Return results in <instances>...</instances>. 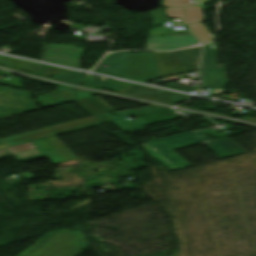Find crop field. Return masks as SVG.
<instances>
[{"instance_id": "obj_1", "label": "crop field", "mask_w": 256, "mask_h": 256, "mask_svg": "<svg viewBox=\"0 0 256 256\" xmlns=\"http://www.w3.org/2000/svg\"><path fill=\"white\" fill-rule=\"evenodd\" d=\"M203 142L221 158L244 153L237 144L229 139L212 140L204 133L194 130L174 136H169L146 142L144 147L150 156L170 170H175L189 164L172 149Z\"/></svg>"}, {"instance_id": "obj_2", "label": "crop field", "mask_w": 256, "mask_h": 256, "mask_svg": "<svg viewBox=\"0 0 256 256\" xmlns=\"http://www.w3.org/2000/svg\"><path fill=\"white\" fill-rule=\"evenodd\" d=\"M87 247L78 228L75 232L60 229L45 234L18 256H77Z\"/></svg>"}, {"instance_id": "obj_3", "label": "crop field", "mask_w": 256, "mask_h": 256, "mask_svg": "<svg viewBox=\"0 0 256 256\" xmlns=\"http://www.w3.org/2000/svg\"><path fill=\"white\" fill-rule=\"evenodd\" d=\"M209 2V0H164L163 6L168 18H181L187 24L201 43L212 39L211 33L203 25L201 8L197 5Z\"/></svg>"}, {"instance_id": "obj_4", "label": "crop field", "mask_w": 256, "mask_h": 256, "mask_svg": "<svg viewBox=\"0 0 256 256\" xmlns=\"http://www.w3.org/2000/svg\"><path fill=\"white\" fill-rule=\"evenodd\" d=\"M5 150L9 153L0 156L11 154L15 156L17 160L42 155L40 151H42L53 164L76 158L55 136L13 146Z\"/></svg>"}, {"instance_id": "obj_5", "label": "crop field", "mask_w": 256, "mask_h": 256, "mask_svg": "<svg viewBox=\"0 0 256 256\" xmlns=\"http://www.w3.org/2000/svg\"><path fill=\"white\" fill-rule=\"evenodd\" d=\"M201 47L181 51L159 53L155 52L162 78L198 69Z\"/></svg>"}, {"instance_id": "obj_6", "label": "crop field", "mask_w": 256, "mask_h": 256, "mask_svg": "<svg viewBox=\"0 0 256 256\" xmlns=\"http://www.w3.org/2000/svg\"><path fill=\"white\" fill-rule=\"evenodd\" d=\"M203 88H226L224 67L217 66V43L203 46L200 61Z\"/></svg>"}, {"instance_id": "obj_7", "label": "crop field", "mask_w": 256, "mask_h": 256, "mask_svg": "<svg viewBox=\"0 0 256 256\" xmlns=\"http://www.w3.org/2000/svg\"><path fill=\"white\" fill-rule=\"evenodd\" d=\"M84 50L76 48L74 45L47 46L45 61L80 68V57Z\"/></svg>"}, {"instance_id": "obj_8", "label": "crop field", "mask_w": 256, "mask_h": 256, "mask_svg": "<svg viewBox=\"0 0 256 256\" xmlns=\"http://www.w3.org/2000/svg\"><path fill=\"white\" fill-rule=\"evenodd\" d=\"M156 110H160V108L142 107L140 109H134V110L127 109V110L118 111V112L113 111V113L118 115L114 117H112L108 113H105L103 115H105L108 119H110L121 130L127 131V130L149 125L148 123H146V120L143 117L131 119L130 121L126 119L127 117L138 116L140 114H144V113H148Z\"/></svg>"}, {"instance_id": "obj_9", "label": "crop field", "mask_w": 256, "mask_h": 256, "mask_svg": "<svg viewBox=\"0 0 256 256\" xmlns=\"http://www.w3.org/2000/svg\"><path fill=\"white\" fill-rule=\"evenodd\" d=\"M194 44L192 36L148 37L145 50H173Z\"/></svg>"}, {"instance_id": "obj_10", "label": "crop field", "mask_w": 256, "mask_h": 256, "mask_svg": "<svg viewBox=\"0 0 256 256\" xmlns=\"http://www.w3.org/2000/svg\"><path fill=\"white\" fill-rule=\"evenodd\" d=\"M123 93L129 94V95L145 97V98L161 100V101L172 102V103H178L181 100L188 97L187 95L152 89V88H148V87H144V86H140V85H136V84H133L131 87H129Z\"/></svg>"}, {"instance_id": "obj_11", "label": "crop field", "mask_w": 256, "mask_h": 256, "mask_svg": "<svg viewBox=\"0 0 256 256\" xmlns=\"http://www.w3.org/2000/svg\"><path fill=\"white\" fill-rule=\"evenodd\" d=\"M0 65L37 74L43 70V65L0 56Z\"/></svg>"}, {"instance_id": "obj_12", "label": "crop field", "mask_w": 256, "mask_h": 256, "mask_svg": "<svg viewBox=\"0 0 256 256\" xmlns=\"http://www.w3.org/2000/svg\"><path fill=\"white\" fill-rule=\"evenodd\" d=\"M75 102L92 116L113 110L97 96L78 100Z\"/></svg>"}, {"instance_id": "obj_13", "label": "crop field", "mask_w": 256, "mask_h": 256, "mask_svg": "<svg viewBox=\"0 0 256 256\" xmlns=\"http://www.w3.org/2000/svg\"><path fill=\"white\" fill-rule=\"evenodd\" d=\"M167 88L183 91L189 93L190 91H197L199 88L197 87H191V86H185L181 84H176V83H170Z\"/></svg>"}, {"instance_id": "obj_14", "label": "crop field", "mask_w": 256, "mask_h": 256, "mask_svg": "<svg viewBox=\"0 0 256 256\" xmlns=\"http://www.w3.org/2000/svg\"><path fill=\"white\" fill-rule=\"evenodd\" d=\"M65 72H72V71H67V70H63V69L45 65V70L42 73H40L39 75L49 76V75H55V74L65 73Z\"/></svg>"}, {"instance_id": "obj_15", "label": "crop field", "mask_w": 256, "mask_h": 256, "mask_svg": "<svg viewBox=\"0 0 256 256\" xmlns=\"http://www.w3.org/2000/svg\"><path fill=\"white\" fill-rule=\"evenodd\" d=\"M180 76H174V77H171V78H167L168 81H171V80H175V79H179Z\"/></svg>"}]
</instances>
